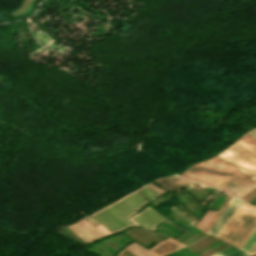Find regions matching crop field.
<instances>
[{
	"instance_id": "obj_1",
	"label": "crop field",
	"mask_w": 256,
	"mask_h": 256,
	"mask_svg": "<svg viewBox=\"0 0 256 256\" xmlns=\"http://www.w3.org/2000/svg\"><path fill=\"white\" fill-rule=\"evenodd\" d=\"M242 203L243 202L232 197L207 232L218 237ZM255 228L256 208L243 203L219 235V238L241 248Z\"/></svg>"
},
{
	"instance_id": "obj_2",
	"label": "crop field",
	"mask_w": 256,
	"mask_h": 256,
	"mask_svg": "<svg viewBox=\"0 0 256 256\" xmlns=\"http://www.w3.org/2000/svg\"><path fill=\"white\" fill-rule=\"evenodd\" d=\"M146 202L139 194L132 192L119 201L91 215L97 222L111 233L137 225L127 217L134 214Z\"/></svg>"
},
{
	"instance_id": "obj_3",
	"label": "crop field",
	"mask_w": 256,
	"mask_h": 256,
	"mask_svg": "<svg viewBox=\"0 0 256 256\" xmlns=\"http://www.w3.org/2000/svg\"><path fill=\"white\" fill-rule=\"evenodd\" d=\"M237 171L225 161L214 157L190 167L181 177L215 187Z\"/></svg>"
},
{
	"instance_id": "obj_4",
	"label": "crop field",
	"mask_w": 256,
	"mask_h": 256,
	"mask_svg": "<svg viewBox=\"0 0 256 256\" xmlns=\"http://www.w3.org/2000/svg\"><path fill=\"white\" fill-rule=\"evenodd\" d=\"M226 160L251 177L256 176V151L241 141H236L219 154Z\"/></svg>"
},
{
	"instance_id": "obj_5",
	"label": "crop field",
	"mask_w": 256,
	"mask_h": 256,
	"mask_svg": "<svg viewBox=\"0 0 256 256\" xmlns=\"http://www.w3.org/2000/svg\"><path fill=\"white\" fill-rule=\"evenodd\" d=\"M137 224L155 230L154 226L166 219L151 208H145L141 213L131 217Z\"/></svg>"
},
{
	"instance_id": "obj_6",
	"label": "crop field",
	"mask_w": 256,
	"mask_h": 256,
	"mask_svg": "<svg viewBox=\"0 0 256 256\" xmlns=\"http://www.w3.org/2000/svg\"><path fill=\"white\" fill-rule=\"evenodd\" d=\"M211 256H250V255L231 245Z\"/></svg>"
},
{
	"instance_id": "obj_7",
	"label": "crop field",
	"mask_w": 256,
	"mask_h": 256,
	"mask_svg": "<svg viewBox=\"0 0 256 256\" xmlns=\"http://www.w3.org/2000/svg\"><path fill=\"white\" fill-rule=\"evenodd\" d=\"M137 192H139L141 195H143L147 199H153L157 194H159L158 192L154 191L153 189L147 186L137 190Z\"/></svg>"
},
{
	"instance_id": "obj_8",
	"label": "crop field",
	"mask_w": 256,
	"mask_h": 256,
	"mask_svg": "<svg viewBox=\"0 0 256 256\" xmlns=\"http://www.w3.org/2000/svg\"><path fill=\"white\" fill-rule=\"evenodd\" d=\"M255 242H256V229L241 249L249 252V250L252 248V246L255 244Z\"/></svg>"
},
{
	"instance_id": "obj_9",
	"label": "crop field",
	"mask_w": 256,
	"mask_h": 256,
	"mask_svg": "<svg viewBox=\"0 0 256 256\" xmlns=\"http://www.w3.org/2000/svg\"><path fill=\"white\" fill-rule=\"evenodd\" d=\"M239 140H241L242 142L246 143L247 145L256 150V139L251 137L250 135L246 134Z\"/></svg>"
},
{
	"instance_id": "obj_10",
	"label": "crop field",
	"mask_w": 256,
	"mask_h": 256,
	"mask_svg": "<svg viewBox=\"0 0 256 256\" xmlns=\"http://www.w3.org/2000/svg\"><path fill=\"white\" fill-rule=\"evenodd\" d=\"M207 235L208 234L203 232V233H201V234H199V235H197V236H195V237H193V238H191V239H189V240H187V241H185V242H183L181 244L187 246V245H189V244H191V243H193V242H195V241H197V240H199V239H201V238H203V237H205Z\"/></svg>"
},
{
	"instance_id": "obj_11",
	"label": "crop field",
	"mask_w": 256,
	"mask_h": 256,
	"mask_svg": "<svg viewBox=\"0 0 256 256\" xmlns=\"http://www.w3.org/2000/svg\"><path fill=\"white\" fill-rule=\"evenodd\" d=\"M171 210H173L176 214H178L180 217H182L184 220H186L188 223H193L195 221L191 220L190 218L183 215L175 206L170 207Z\"/></svg>"
},
{
	"instance_id": "obj_12",
	"label": "crop field",
	"mask_w": 256,
	"mask_h": 256,
	"mask_svg": "<svg viewBox=\"0 0 256 256\" xmlns=\"http://www.w3.org/2000/svg\"><path fill=\"white\" fill-rule=\"evenodd\" d=\"M251 136L255 137L256 138V129L252 130L250 133Z\"/></svg>"
},
{
	"instance_id": "obj_13",
	"label": "crop field",
	"mask_w": 256,
	"mask_h": 256,
	"mask_svg": "<svg viewBox=\"0 0 256 256\" xmlns=\"http://www.w3.org/2000/svg\"><path fill=\"white\" fill-rule=\"evenodd\" d=\"M254 252H256V244L254 245V247L250 251V253H254Z\"/></svg>"
}]
</instances>
